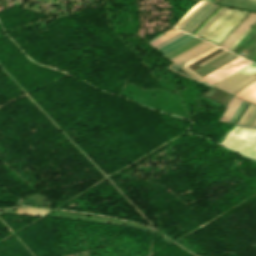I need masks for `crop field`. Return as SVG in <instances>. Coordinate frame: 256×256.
Segmentation results:
<instances>
[{"label": "crop field", "instance_id": "obj_14", "mask_svg": "<svg viewBox=\"0 0 256 256\" xmlns=\"http://www.w3.org/2000/svg\"><path fill=\"white\" fill-rule=\"evenodd\" d=\"M252 104H250V106L248 107V109L246 110V112L244 113V115L242 116V118L240 119V121L238 122V124H241V122L243 121V119L245 118V116L248 114V112L250 111V109L252 108ZM256 108V105L253 106V108L251 109V111L249 112V114L246 116V118L244 119V121L242 122L243 125H245V123L247 122V120L249 119L250 115L252 114V112L254 111V109Z\"/></svg>", "mask_w": 256, "mask_h": 256}, {"label": "crop field", "instance_id": "obj_8", "mask_svg": "<svg viewBox=\"0 0 256 256\" xmlns=\"http://www.w3.org/2000/svg\"><path fill=\"white\" fill-rule=\"evenodd\" d=\"M240 103H241V100L233 96V98L227 104V107H228L227 110L222 115L219 121L228 122V120L230 119V117L232 116V114L237 109Z\"/></svg>", "mask_w": 256, "mask_h": 256}, {"label": "crop field", "instance_id": "obj_18", "mask_svg": "<svg viewBox=\"0 0 256 256\" xmlns=\"http://www.w3.org/2000/svg\"><path fill=\"white\" fill-rule=\"evenodd\" d=\"M244 104H245V102L242 101V103L240 104V106L238 107V109L236 110V112L233 114V116H232L231 119L229 120L230 123H232V121L235 119V117L237 116V114L239 113V111L242 109V107L244 106ZM246 104H247V103H246ZM246 104H245V106H246ZM245 106H244V107H245ZM244 107H243V108H244ZM242 110H243V109H242ZM242 110H241V111H242ZM239 114H240V113H239ZM239 114H238V115H239ZM237 117H238V116H237ZM237 117H236V118H237ZM235 120H236V119H235ZM235 120H234V121H235ZM233 123H234V122H233Z\"/></svg>", "mask_w": 256, "mask_h": 256}, {"label": "crop field", "instance_id": "obj_13", "mask_svg": "<svg viewBox=\"0 0 256 256\" xmlns=\"http://www.w3.org/2000/svg\"><path fill=\"white\" fill-rule=\"evenodd\" d=\"M205 1L198 2L195 4L175 25L174 27H178L199 5H201Z\"/></svg>", "mask_w": 256, "mask_h": 256}, {"label": "crop field", "instance_id": "obj_11", "mask_svg": "<svg viewBox=\"0 0 256 256\" xmlns=\"http://www.w3.org/2000/svg\"><path fill=\"white\" fill-rule=\"evenodd\" d=\"M201 41H202V40L196 38V39H194V40L188 42L187 44L181 46L180 48H178V49L172 51L171 53L165 55L164 57L170 59V58H172V57L178 55L179 53H181V52L187 50L188 48L194 46L195 44H197V43H199V42H201Z\"/></svg>", "mask_w": 256, "mask_h": 256}, {"label": "crop field", "instance_id": "obj_15", "mask_svg": "<svg viewBox=\"0 0 256 256\" xmlns=\"http://www.w3.org/2000/svg\"><path fill=\"white\" fill-rule=\"evenodd\" d=\"M178 32H179V31H177V30L175 29V30H173V31H171V32H169V33H167L166 35H164V36L158 38L157 40H155V41H153V42H151V43H149V44H151V45L154 46V45L160 43L161 41L165 40L166 38H168V37H170V36H172V35H174V34H176V33H178Z\"/></svg>", "mask_w": 256, "mask_h": 256}, {"label": "crop field", "instance_id": "obj_24", "mask_svg": "<svg viewBox=\"0 0 256 256\" xmlns=\"http://www.w3.org/2000/svg\"><path fill=\"white\" fill-rule=\"evenodd\" d=\"M224 51H225V50H224ZM222 52H223V51H222ZM225 52H226V51H225ZM225 52H223V53H225ZM220 53H221V52H220ZM223 53H221V54H223ZM218 54H219V53H218ZM218 54H217V55H218ZM221 54H219L218 56H220ZM215 56H216V55H215ZM218 56H216V57H218ZM213 57H214V56H213ZM216 57H214V58H216ZM211 58H212V57H211ZM211 58H210V59H211ZM214 58H213V59H214ZM213 59H211V60H213ZM208 60H209V59H208ZM211 60H209V61H211ZM206 61H207V60H206ZM206 61H205V62H206ZM209 61H207L206 63H208ZM203 63H204V62H203ZM206 63H204V64H206ZM201 64H202V63H201ZM204 64H202V65H204ZM199 65H200V64H199ZM202 65H201V66H202Z\"/></svg>", "mask_w": 256, "mask_h": 256}, {"label": "crop field", "instance_id": "obj_21", "mask_svg": "<svg viewBox=\"0 0 256 256\" xmlns=\"http://www.w3.org/2000/svg\"><path fill=\"white\" fill-rule=\"evenodd\" d=\"M253 28L250 27V29L229 49V51H231L233 49V47L244 37L246 36Z\"/></svg>", "mask_w": 256, "mask_h": 256}, {"label": "crop field", "instance_id": "obj_23", "mask_svg": "<svg viewBox=\"0 0 256 256\" xmlns=\"http://www.w3.org/2000/svg\"><path fill=\"white\" fill-rule=\"evenodd\" d=\"M213 46H214V45H212V46H210V47L206 48L205 50H203V51L199 52L198 54H196V55L192 56L191 58H193V57H195V56L199 55L200 53H202V52L206 51L207 49H209V48H211V47H213ZM191 58H189V59H187V60L183 61V63H184V62H186V61H188V60H190Z\"/></svg>", "mask_w": 256, "mask_h": 256}, {"label": "crop field", "instance_id": "obj_4", "mask_svg": "<svg viewBox=\"0 0 256 256\" xmlns=\"http://www.w3.org/2000/svg\"><path fill=\"white\" fill-rule=\"evenodd\" d=\"M211 4H209L208 2L194 15V16H192L181 28H180V30H182V31H184L207 7H209ZM213 5V4H212ZM211 5V6H212ZM210 6V7H211ZM209 7V8H210ZM217 6L216 5H213L209 10L208 9H206V10H208V11H204L191 25H192V27H191V25L185 30V32L187 31L188 33H190L204 18H206L215 8H216ZM226 8H221L196 34H195V36H197V37H199L211 24H212V22L225 10Z\"/></svg>", "mask_w": 256, "mask_h": 256}, {"label": "crop field", "instance_id": "obj_5", "mask_svg": "<svg viewBox=\"0 0 256 256\" xmlns=\"http://www.w3.org/2000/svg\"><path fill=\"white\" fill-rule=\"evenodd\" d=\"M253 14L251 13L245 20L244 22L235 30L233 31L228 38L220 45L222 47L252 16ZM256 17V14L253 15V17L222 47L225 48L254 18ZM256 20V18L225 48L229 49L232 44L242 35V33Z\"/></svg>", "mask_w": 256, "mask_h": 256}, {"label": "crop field", "instance_id": "obj_9", "mask_svg": "<svg viewBox=\"0 0 256 256\" xmlns=\"http://www.w3.org/2000/svg\"><path fill=\"white\" fill-rule=\"evenodd\" d=\"M203 42H204V41H203ZM203 42H201V43H203ZM201 43H199V44H201ZM199 44H197V45H199ZM197 45H196V46H197ZM210 45H211V44L205 42V43H203V44H201V45H199V46H197V47L194 46L195 48H193V47H192L193 49L190 48L191 50H189V51H187V52H185V53H183V54H181V55H179V56L173 58L172 60L178 64V63H180L182 60H184V59H186V58L192 56L193 54H195V53L201 51L202 49H204V48H206V47H208V46H210Z\"/></svg>", "mask_w": 256, "mask_h": 256}, {"label": "crop field", "instance_id": "obj_6", "mask_svg": "<svg viewBox=\"0 0 256 256\" xmlns=\"http://www.w3.org/2000/svg\"><path fill=\"white\" fill-rule=\"evenodd\" d=\"M249 84H252V85L256 86V79L254 81L250 82ZM249 84H247L243 88H246L248 90L256 92V87L252 86V85H249ZM243 88L240 89L238 92H236L234 95L242 98L245 101H249V102H252V103L256 104V93L248 91V90L243 89Z\"/></svg>", "mask_w": 256, "mask_h": 256}, {"label": "crop field", "instance_id": "obj_3", "mask_svg": "<svg viewBox=\"0 0 256 256\" xmlns=\"http://www.w3.org/2000/svg\"><path fill=\"white\" fill-rule=\"evenodd\" d=\"M232 10L231 9H229V8H227L215 21H214V23L201 35V37H205L218 23H220L230 12H231ZM234 11V10H233ZM232 11V12H233ZM231 12V13H232ZM238 11L237 10H235L232 14H231V16L216 30V31H214L219 25H217L206 37H205V39L207 38V40L209 41L221 28H223L228 22H229V20L237 13ZM242 13V11H240L220 32H218L214 37H213V39L210 41L211 43L225 30V29H227L236 19H237V17L240 15ZM247 13L246 12H243L239 17H238V19L227 29V30H225L213 43L214 44H218L226 35H227V33L246 15Z\"/></svg>", "mask_w": 256, "mask_h": 256}, {"label": "crop field", "instance_id": "obj_26", "mask_svg": "<svg viewBox=\"0 0 256 256\" xmlns=\"http://www.w3.org/2000/svg\"><path fill=\"white\" fill-rule=\"evenodd\" d=\"M207 1H208V0H207ZM211 1H214V2H215V0H211ZM211 1H210V2H211ZM214 2H213V3H214Z\"/></svg>", "mask_w": 256, "mask_h": 256}, {"label": "crop field", "instance_id": "obj_17", "mask_svg": "<svg viewBox=\"0 0 256 256\" xmlns=\"http://www.w3.org/2000/svg\"><path fill=\"white\" fill-rule=\"evenodd\" d=\"M184 34H185V33L180 32V33H178V34L172 36L171 38H169V39L163 41L162 43H160V44H158V45H156V46H154V47H156V48L158 49L159 47H161V46H163V45H165V44L171 42L172 40H174V39H176V38H178V37H180V36H182V35H184Z\"/></svg>", "mask_w": 256, "mask_h": 256}, {"label": "crop field", "instance_id": "obj_25", "mask_svg": "<svg viewBox=\"0 0 256 256\" xmlns=\"http://www.w3.org/2000/svg\"><path fill=\"white\" fill-rule=\"evenodd\" d=\"M205 3H206V2H205ZM203 4H204V3H203ZM203 4H202V5H203ZM199 7H200V6H199ZM199 7H198V8H199ZM198 8H197V9H198ZM197 9H196V10H197ZM196 10H195V11H196ZM195 11H194V12H195ZM194 12H193V13H194ZM193 13H192V14H193ZM192 14H191V15H192ZM191 15H190V16H191ZM190 16H189V17H190ZM181 25H182V24H181ZM181 25H180V26H181ZM180 26H179V27H180ZM179 27H178V28H179ZM178 28H177V29H178Z\"/></svg>", "mask_w": 256, "mask_h": 256}, {"label": "crop field", "instance_id": "obj_1", "mask_svg": "<svg viewBox=\"0 0 256 256\" xmlns=\"http://www.w3.org/2000/svg\"><path fill=\"white\" fill-rule=\"evenodd\" d=\"M249 63H250V62H248V61H246V60H244V59H242V58L239 57V58L233 60L232 62L226 64L225 66H223V67H221V68H219V69H217V70L211 72L210 74H208V75H206V76H204V77H202V78L205 79V80H206L207 82H209L210 84H212V83H214V82H216V81H218V80L224 78L225 76H227V75H229V74L235 72L236 70H238V69L244 67L245 65H247V64H249ZM231 76H234V77H237V78H240V79H243V78L247 77V75H244V74H241V73H238V72L232 74ZM231 76H229V77L223 79L222 81L216 83V84L213 85V86H215V87H217V88H219V89H221V90H223V91H226L229 87L235 85V83L240 80V79H237V78H234V77H231ZM253 76H255V75H253V74L249 75L248 78H245V79H243V80L237 82V84H236L235 86L229 88L227 91H228V92L231 91V90L234 89L236 86H238L240 83H242V82H244V81L250 79V78L253 77ZM255 78H256V76L253 77L252 79H250V80L244 82L243 84L239 85L237 88H235L234 90H232L230 93L233 94V93L236 92L238 89H240L241 87L245 86L248 82L252 81V80L255 79Z\"/></svg>", "mask_w": 256, "mask_h": 256}, {"label": "crop field", "instance_id": "obj_10", "mask_svg": "<svg viewBox=\"0 0 256 256\" xmlns=\"http://www.w3.org/2000/svg\"><path fill=\"white\" fill-rule=\"evenodd\" d=\"M237 57H238V56L231 54V55H229V56H227V57L221 59L220 61H218V62H216V63H214V64H212V65H214L215 67L219 68L220 66H222V65H224V64H226V63H228V62H230L231 60H233V59H235V58H237ZM212 65L209 66V67H207V68H205V69H203V70H201V71H199V72H197V74H199V75L202 77V76H204V75L210 73L211 71L217 69V68H215V67L212 66Z\"/></svg>", "mask_w": 256, "mask_h": 256}, {"label": "crop field", "instance_id": "obj_20", "mask_svg": "<svg viewBox=\"0 0 256 256\" xmlns=\"http://www.w3.org/2000/svg\"><path fill=\"white\" fill-rule=\"evenodd\" d=\"M256 115V112L254 113V115L252 116V118L248 121V123L246 124V126H248V124L251 122V120L254 118V116ZM256 122V116L255 118L252 120V122L249 124V126L253 127L254 123Z\"/></svg>", "mask_w": 256, "mask_h": 256}, {"label": "crop field", "instance_id": "obj_12", "mask_svg": "<svg viewBox=\"0 0 256 256\" xmlns=\"http://www.w3.org/2000/svg\"><path fill=\"white\" fill-rule=\"evenodd\" d=\"M225 1H228V0H225ZM237 1H246V2L256 4V0H237ZM230 2H233V1H230ZM236 3H238V2H236ZM219 4L238 7V8H244V9H250V10H255L256 11V7H251V6H256V5L245 6V5H239V4L228 3V2H223V1H220ZM241 4H243V3H241ZM246 5H250V4H246Z\"/></svg>", "mask_w": 256, "mask_h": 256}, {"label": "crop field", "instance_id": "obj_22", "mask_svg": "<svg viewBox=\"0 0 256 256\" xmlns=\"http://www.w3.org/2000/svg\"><path fill=\"white\" fill-rule=\"evenodd\" d=\"M249 14H250V13H249ZM249 14H248V15H249ZM248 15H247V16H248ZM247 16H246V17H247ZM246 17H245V18H246ZM245 18H244V19H245ZM244 19H243V20H244ZM243 20H242V21H243ZM242 21H241L237 26H235V27L233 28V30H235V29L242 23ZM233 30H232V31H233ZM232 31H231V32H232ZM231 32H230V33H231ZM230 33H229V34H230ZM229 34H228V35H229ZM228 35H227V36H228ZM227 36H226V37H227ZM226 37H225V38H226ZM225 38L221 41V43L225 40ZM227 38H228V37H227ZM227 38H226V39H227ZM221 43H220V44H221ZM220 44H219V45H220ZM219 45H218V46H219Z\"/></svg>", "mask_w": 256, "mask_h": 256}, {"label": "crop field", "instance_id": "obj_2", "mask_svg": "<svg viewBox=\"0 0 256 256\" xmlns=\"http://www.w3.org/2000/svg\"><path fill=\"white\" fill-rule=\"evenodd\" d=\"M219 143L256 158V129L232 126Z\"/></svg>", "mask_w": 256, "mask_h": 256}, {"label": "crop field", "instance_id": "obj_7", "mask_svg": "<svg viewBox=\"0 0 256 256\" xmlns=\"http://www.w3.org/2000/svg\"><path fill=\"white\" fill-rule=\"evenodd\" d=\"M195 37L191 36V35H184L182 37H180L179 39L173 41L172 43L166 45L165 47L161 48L160 50L163 51L164 53L161 54L162 56L171 52L172 50L178 48L179 46L187 43L188 41L194 39Z\"/></svg>", "mask_w": 256, "mask_h": 256}, {"label": "crop field", "instance_id": "obj_19", "mask_svg": "<svg viewBox=\"0 0 256 256\" xmlns=\"http://www.w3.org/2000/svg\"><path fill=\"white\" fill-rule=\"evenodd\" d=\"M227 54H229V52L223 54L222 56L216 58L215 60L209 62L208 64H206V65H204V66H202V67H200V68H198V69H196V70H194V71L196 72V71H198V70H200V69H202V68H205V67L209 66L210 64H212V63H214L215 61L221 59L222 57L226 56Z\"/></svg>", "mask_w": 256, "mask_h": 256}, {"label": "crop field", "instance_id": "obj_16", "mask_svg": "<svg viewBox=\"0 0 256 256\" xmlns=\"http://www.w3.org/2000/svg\"><path fill=\"white\" fill-rule=\"evenodd\" d=\"M217 48H218V47L215 46V47L209 49L208 51H206V52L200 54L199 56L193 58L192 60H190V61H188V62H186V63H184V64H186V65L188 66V65L192 64L193 62L197 61L198 59H200V58L204 57L205 55L209 54L210 52L214 51V50L217 49Z\"/></svg>", "mask_w": 256, "mask_h": 256}, {"label": "crop field", "instance_id": "obj_27", "mask_svg": "<svg viewBox=\"0 0 256 256\" xmlns=\"http://www.w3.org/2000/svg\"><path fill=\"white\" fill-rule=\"evenodd\" d=\"M254 127H256V124L254 125Z\"/></svg>", "mask_w": 256, "mask_h": 256}]
</instances>
